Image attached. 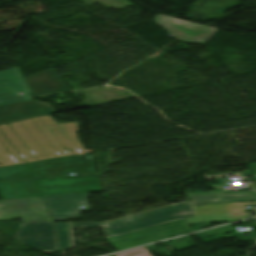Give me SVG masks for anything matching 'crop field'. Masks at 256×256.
<instances>
[{"label":"crop field","instance_id":"crop-field-1","mask_svg":"<svg viewBox=\"0 0 256 256\" xmlns=\"http://www.w3.org/2000/svg\"><path fill=\"white\" fill-rule=\"evenodd\" d=\"M38 160L85 152L78 123L56 124L50 115L10 124Z\"/></svg>","mask_w":256,"mask_h":256},{"label":"crop field","instance_id":"crop-field-2","mask_svg":"<svg viewBox=\"0 0 256 256\" xmlns=\"http://www.w3.org/2000/svg\"><path fill=\"white\" fill-rule=\"evenodd\" d=\"M194 215L188 202L163 207L127 218L104 223L106 237H112L153 225Z\"/></svg>","mask_w":256,"mask_h":256},{"label":"crop field","instance_id":"crop-field-3","mask_svg":"<svg viewBox=\"0 0 256 256\" xmlns=\"http://www.w3.org/2000/svg\"><path fill=\"white\" fill-rule=\"evenodd\" d=\"M193 232L183 220L108 238L118 251Z\"/></svg>","mask_w":256,"mask_h":256},{"label":"crop field","instance_id":"crop-field-4","mask_svg":"<svg viewBox=\"0 0 256 256\" xmlns=\"http://www.w3.org/2000/svg\"><path fill=\"white\" fill-rule=\"evenodd\" d=\"M23 218L24 222H52L41 197L0 200V219Z\"/></svg>","mask_w":256,"mask_h":256},{"label":"crop field","instance_id":"crop-field-5","mask_svg":"<svg viewBox=\"0 0 256 256\" xmlns=\"http://www.w3.org/2000/svg\"><path fill=\"white\" fill-rule=\"evenodd\" d=\"M154 21L178 40L205 44L217 28L158 14Z\"/></svg>","mask_w":256,"mask_h":256},{"label":"crop field","instance_id":"crop-field-6","mask_svg":"<svg viewBox=\"0 0 256 256\" xmlns=\"http://www.w3.org/2000/svg\"><path fill=\"white\" fill-rule=\"evenodd\" d=\"M15 239L42 252L56 250L52 223H23Z\"/></svg>","mask_w":256,"mask_h":256},{"label":"crop field","instance_id":"crop-field-7","mask_svg":"<svg viewBox=\"0 0 256 256\" xmlns=\"http://www.w3.org/2000/svg\"><path fill=\"white\" fill-rule=\"evenodd\" d=\"M88 193L43 197L54 220L81 218L80 212L90 211ZM86 206V208H79Z\"/></svg>","mask_w":256,"mask_h":256},{"label":"crop field","instance_id":"crop-field-8","mask_svg":"<svg viewBox=\"0 0 256 256\" xmlns=\"http://www.w3.org/2000/svg\"><path fill=\"white\" fill-rule=\"evenodd\" d=\"M18 92H24V95ZM29 94L17 67L0 71V104L27 101Z\"/></svg>","mask_w":256,"mask_h":256},{"label":"crop field","instance_id":"crop-field-9","mask_svg":"<svg viewBox=\"0 0 256 256\" xmlns=\"http://www.w3.org/2000/svg\"><path fill=\"white\" fill-rule=\"evenodd\" d=\"M55 112L50 105L36 101L0 105V124Z\"/></svg>","mask_w":256,"mask_h":256},{"label":"crop field","instance_id":"crop-field-10","mask_svg":"<svg viewBox=\"0 0 256 256\" xmlns=\"http://www.w3.org/2000/svg\"><path fill=\"white\" fill-rule=\"evenodd\" d=\"M34 95L69 90L52 68L26 77Z\"/></svg>","mask_w":256,"mask_h":256},{"label":"crop field","instance_id":"crop-field-11","mask_svg":"<svg viewBox=\"0 0 256 256\" xmlns=\"http://www.w3.org/2000/svg\"><path fill=\"white\" fill-rule=\"evenodd\" d=\"M188 197L193 205L256 201V193L253 191L198 193L188 194Z\"/></svg>","mask_w":256,"mask_h":256},{"label":"crop field","instance_id":"crop-field-12","mask_svg":"<svg viewBox=\"0 0 256 256\" xmlns=\"http://www.w3.org/2000/svg\"><path fill=\"white\" fill-rule=\"evenodd\" d=\"M0 129L9 138V140L13 143V145L17 148V150L22 154V156L26 159L27 162L36 161L37 160L36 157L32 154V152L27 148V146L19 138V136L10 127L9 124L0 125Z\"/></svg>","mask_w":256,"mask_h":256},{"label":"crop field","instance_id":"crop-field-13","mask_svg":"<svg viewBox=\"0 0 256 256\" xmlns=\"http://www.w3.org/2000/svg\"><path fill=\"white\" fill-rule=\"evenodd\" d=\"M3 135V134H2ZM0 133V165H13L24 163L19 155L14 151L10 144Z\"/></svg>","mask_w":256,"mask_h":256},{"label":"crop field","instance_id":"crop-field-14","mask_svg":"<svg viewBox=\"0 0 256 256\" xmlns=\"http://www.w3.org/2000/svg\"><path fill=\"white\" fill-rule=\"evenodd\" d=\"M59 248L71 245L67 223H56Z\"/></svg>","mask_w":256,"mask_h":256},{"label":"crop field","instance_id":"crop-field-15","mask_svg":"<svg viewBox=\"0 0 256 256\" xmlns=\"http://www.w3.org/2000/svg\"><path fill=\"white\" fill-rule=\"evenodd\" d=\"M136 252H140L138 254H134L131 256H152L145 247L143 248H139V249H135V250H131V251H127V252H123V253H119V254H115V256H124V255H128V254H132V253H136Z\"/></svg>","mask_w":256,"mask_h":256},{"label":"crop field","instance_id":"crop-field-16","mask_svg":"<svg viewBox=\"0 0 256 256\" xmlns=\"http://www.w3.org/2000/svg\"><path fill=\"white\" fill-rule=\"evenodd\" d=\"M72 229L102 227L100 223H71Z\"/></svg>","mask_w":256,"mask_h":256}]
</instances>
